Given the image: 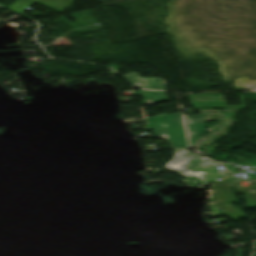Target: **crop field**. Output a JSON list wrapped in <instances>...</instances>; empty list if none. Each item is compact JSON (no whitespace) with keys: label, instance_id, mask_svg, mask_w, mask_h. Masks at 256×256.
Masks as SVG:
<instances>
[{"label":"crop field","instance_id":"crop-field-1","mask_svg":"<svg viewBox=\"0 0 256 256\" xmlns=\"http://www.w3.org/2000/svg\"><path fill=\"white\" fill-rule=\"evenodd\" d=\"M174 151L175 155L173 159L169 163L165 164L166 168L171 169L173 171L189 168L193 166L195 163H199L206 160V158L197 155L189 150ZM218 165L219 164H217L216 162L208 160L204 163L196 165L194 168L190 170L177 171V173L185 178L191 176L197 177L204 184H207L217 178L226 176L224 171H218Z\"/></svg>","mask_w":256,"mask_h":256},{"label":"crop field","instance_id":"crop-field-2","mask_svg":"<svg viewBox=\"0 0 256 256\" xmlns=\"http://www.w3.org/2000/svg\"><path fill=\"white\" fill-rule=\"evenodd\" d=\"M182 112L147 117L154 136L168 135L172 148H187Z\"/></svg>","mask_w":256,"mask_h":256},{"label":"crop field","instance_id":"crop-field-3","mask_svg":"<svg viewBox=\"0 0 256 256\" xmlns=\"http://www.w3.org/2000/svg\"><path fill=\"white\" fill-rule=\"evenodd\" d=\"M74 0H16L13 2L8 8L21 13L25 7H28L35 2L44 5L50 9H53L57 12H61L64 8H66L69 4H71ZM7 8V9H8Z\"/></svg>","mask_w":256,"mask_h":256},{"label":"crop field","instance_id":"crop-field-4","mask_svg":"<svg viewBox=\"0 0 256 256\" xmlns=\"http://www.w3.org/2000/svg\"><path fill=\"white\" fill-rule=\"evenodd\" d=\"M211 188V209L220 208L224 210L226 215L245 217L244 213L239 208L225 198L223 191H220L213 186Z\"/></svg>","mask_w":256,"mask_h":256},{"label":"crop field","instance_id":"crop-field-5","mask_svg":"<svg viewBox=\"0 0 256 256\" xmlns=\"http://www.w3.org/2000/svg\"><path fill=\"white\" fill-rule=\"evenodd\" d=\"M189 133L190 147L204 133L202 115L184 116Z\"/></svg>","mask_w":256,"mask_h":256},{"label":"crop field","instance_id":"crop-field-6","mask_svg":"<svg viewBox=\"0 0 256 256\" xmlns=\"http://www.w3.org/2000/svg\"><path fill=\"white\" fill-rule=\"evenodd\" d=\"M229 179H230V183H231L232 187L235 189V191L241 192L244 194L248 205L251 207H256V182L254 183L255 185H253L251 187L238 188L236 183L240 178H229Z\"/></svg>","mask_w":256,"mask_h":256},{"label":"crop field","instance_id":"crop-field-7","mask_svg":"<svg viewBox=\"0 0 256 256\" xmlns=\"http://www.w3.org/2000/svg\"><path fill=\"white\" fill-rule=\"evenodd\" d=\"M133 95H142L144 104H153L168 101L164 92L139 90L135 91Z\"/></svg>","mask_w":256,"mask_h":256},{"label":"crop field","instance_id":"crop-field-8","mask_svg":"<svg viewBox=\"0 0 256 256\" xmlns=\"http://www.w3.org/2000/svg\"><path fill=\"white\" fill-rule=\"evenodd\" d=\"M145 89L165 90V81L159 78H141Z\"/></svg>","mask_w":256,"mask_h":256},{"label":"crop field","instance_id":"crop-field-9","mask_svg":"<svg viewBox=\"0 0 256 256\" xmlns=\"http://www.w3.org/2000/svg\"><path fill=\"white\" fill-rule=\"evenodd\" d=\"M126 79H127V81L130 83V84H132V85H134V86H138V84H139V87L138 88H142V89H144L143 88V85H142V82H141V79H140V76L136 73V72H134V73H130V74H126V75H123Z\"/></svg>","mask_w":256,"mask_h":256},{"label":"crop field","instance_id":"crop-field-10","mask_svg":"<svg viewBox=\"0 0 256 256\" xmlns=\"http://www.w3.org/2000/svg\"><path fill=\"white\" fill-rule=\"evenodd\" d=\"M216 188L221 189L225 192V196L228 200L231 202L237 201L236 197L233 195L228 183L226 184H221V185H215Z\"/></svg>","mask_w":256,"mask_h":256}]
</instances>
